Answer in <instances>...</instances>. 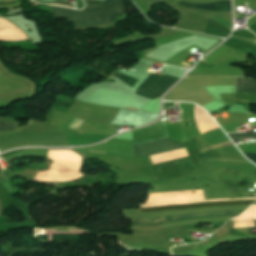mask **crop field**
Instances as JSON below:
<instances>
[{
    "mask_svg": "<svg viewBox=\"0 0 256 256\" xmlns=\"http://www.w3.org/2000/svg\"><path fill=\"white\" fill-rule=\"evenodd\" d=\"M86 8L75 11L66 8L50 6L54 16L67 18L76 30L108 25L123 14L120 0H85Z\"/></svg>",
    "mask_w": 256,
    "mask_h": 256,
    "instance_id": "1",
    "label": "crop field"
},
{
    "mask_svg": "<svg viewBox=\"0 0 256 256\" xmlns=\"http://www.w3.org/2000/svg\"><path fill=\"white\" fill-rule=\"evenodd\" d=\"M254 201L255 200L235 201V202H220V203H206V204H191V205H177V206H162V207H148V208H141V211L142 212H147V211H160V210H166V209H188V208L223 206V205H240V204H251Z\"/></svg>",
    "mask_w": 256,
    "mask_h": 256,
    "instance_id": "6",
    "label": "crop field"
},
{
    "mask_svg": "<svg viewBox=\"0 0 256 256\" xmlns=\"http://www.w3.org/2000/svg\"><path fill=\"white\" fill-rule=\"evenodd\" d=\"M237 91L256 92V81L237 78Z\"/></svg>",
    "mask_w": 256,
    "mask_h": 256,
    "instance_id": "8",
    "label": "crop field"
},
{
    "mask_svg": "<svg viewBox=\"0 0 256 256\" xmlns=\"http://www.w3.org/2000/svg\"><path fill=\"white\" fill-rule=\"evenodd\" d=\"M132 133L134 144L168 136L165 122L136 129L133 130ZM183 148L185 147L182 143L172 142L169 137H167L148 143L134 145V152L135 156H150Z\"/></svg>",
    "mask_w": 256,
    "mask_h": 256,
    "instance_id": "2",
    "label": "crop field"
},
{
    "mask_svg": "<svg viewBox=\"0 0 256 256\" xmlns=\"http://www.w3.org/2000/svg\"><path fill=\"white\" fill-rule=\"evenodd\" d=\"M231 139L244 138V137H256V132L242 133V134H228Z\"/></svg>",
    "mask_w": 256,
    "mask_h": 256,
    "instance_id": "10",
    "label": "crop field"
},
{
    "mask_svg": "<svg viewBox=\"0 0 256 256\" xmlns=\"http://www.w3.org/2000/svg\"><path fill=\"white\" fill-rule=\"evenodd\" d=\"M236 128H238V127H236ZM238 130V129H237Z\"/></svg>",
    "mask_w": 256,
    "mask_h": 256,
    "instance_id": "16",
    "label": "crop field"
},
{
    "mask_svg": "<svg viewBox=\"0 0 256 256\" xmlns=\"http://www.w3.org/2000/svg\"><path fill=\"white\" fill-rule=\"evenodd\" d=\"M242 211L243 210L225 211V212H208V213H199V214L179 215V216L165 217V218H159V219H140V220H131V221H132V224L155 225V224H160L168 221L208 218V217H217V216H226V215H238Z\"/></svg>",
    "mask_w": 256,
    "mask_h": 256,
    "instance_id": "5",
    "label": "crop field"
},
{
    "mask_svg": "<svg viewBox=\"0 0 256 256\" xmlns=\"http://www.w3.org/2000/svg\"><path fill=\"white\" fill-rule=\"evenodd\" d=\"M247 158L256 163V153H243Z\"/></svg>",
    "mask_w": 256,
    "mask_h": 256,
    "instance_id": "12",
    "label": "crop field"
},
{
    "mask_svg": "<svg viewBox=\"0 0 256 256\" xmlns=\"http://www.w3.org/2000/svg\"><path fill=\"white\" fill-rule=\"evenodd\" d=\"M54 3L63 4V5H68V6L74 7V5L69 4V3H67V2H63V1H55ZM54 3H52V4H54ZM58 4H57V5H58ZM63 5H62V6H63ZM68 6H66V7H68ZM72 7H71V8H72Z\"/></svg>",
    "mask_w": 256,
    "mask_h": 256,
    "instance_id": "13",
    "label": "crop field"
},
{
    "mask_svg": "<svg viewBox=\"0 0 256 256\" xmlns=\"http://www.w3.org/2000/svg\"><path fill=\"white\" fill-rule=\"evenodd\" d=\"M182 6L195 8L199 10H217V11H231L230 7V0L216 3V4H208V5H193V4H187L184 2L178 3Z\"/></svg>",
    "mask_w": 256,
    "mask_h": 256,
    "instance_id": "7",
    "label": "crop field"
},
{
    "mask_svg": "<svg viewBox=\"0 0 256 256\" xmlns=\"http://www.w3.org/2000/svg\"><path fill=\"white\" fill-rule=\"evenodd\" d=\"M80 154V153H79ZM48 160H50V159H48ZM52 161V160H51ZM83 161H84V156H83ZM53 162V161H52ZM51 162V163H52ZM48 169H49V163H48ZM81 172V171H80ZM82 173V172H81ZM85 175V174H84ZM78 180V179H77ZM75 181V180H74ZM37 182H39V181H37Z\"/></svg>",
    "mask_w": 256,
    "mask_h": 256,
    "instance_id": "14",
    "label": "crop field"
},
{
    "mask_svg": "<svg viewBox=\"0 0 256 256\" xmlns=\"http://www.w3.org/2000/svg\"><path fill=\"white\" fill-rule=\"evenodd\" d=\"M177 78L161 75H150L143 84L138 88L136 94L154 99L162 94L177 81Z\"/></svg>",
    "mask_w": 256,
    "mask_h": 256,
    "instance_id": "3",
    "label": "crop field"
},
{
    "mask_svg": "<svg viewBox=\"0 0 256 256\" xmlns=\"http://www.w3.org/2000/svg\"><path fill=\"white\" fill-rule=\"evenodd\" d=\"M182 64H184V65H186V66H188V67H189V65H187V64H185V63H183V62H182Z\"/></svg>",
    "mask_w": 256,
    "mask_h": 256,
    "instance_id": "15",
    "label": "crop field"
},
{
    "mask_svg": "<svg viewBox=\"0 0 256 256\" xmlns=\"http://www.w3.org/2000/svg\"><path fill=\"white\" fill-rule=\"evenodd\" d=\"M14 124L0 123V130H13Z\"/></svg>",
    "mask_w": 256,
    "mask_h": 256,
    "instance_id": "11",
    "label": "crop field"
},
{
    "mask_svg": "<svg viewBox=\"0 0 256 256\" xmlns=\"http://www.w3.org/2000/svg\"><path fill=\"white\" fill-rule=\"evenodd\" d=\"M112 76H115L117 78H120L122 79L123 81H125L128 85H130L131 87L137 82V80L125 75V74H122L120 72H117L115 71Z\"/></svg>",
    "mask_w": 256,
    "mask_h": 256,
    "instance_id": "9",
    "label": "crop field"
},
{
    "mask_svg": "<svg viewBox=\"0 0 256 256\" xmlns=\"http://www.w3.org/2000/svg\"><path fill=\"white\" fill-rule=\"evenodd\" d=\"M1 203V202H0Z\"/></svg>",
    "mask_w": 256,
    "mask_h": 256,
    "instance_id": "17",
    "label": "crop field"
},
{
    "mask_svg": "<svg viewBox=\"0 0 256 256\" xmlns=\"http://www.w3.org/2000/svg\"><path fill=\"white\" fill-rule=\"evenodd\" d=\"M159 114L150 112H136L121 109L112 124L128 125V126H141L143 124L153 121Z\"/></svg>",
    "mask_w": 256,
    "mask_h": 256,
    "instance_id": "4",
    "label": "crop field"
}]
</instances>
